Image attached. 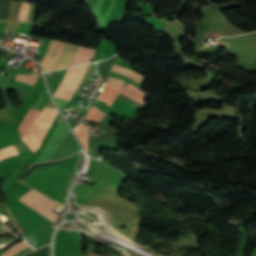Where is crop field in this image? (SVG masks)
Masks as SVG:
<instances>
[{
	"label": "crop field",
	"mask_w": 256,
	"mask_h": 256,
	"mask_svg": "<svg viewBox=\"0 0 256 256\" xmlns=\"http://www.w3.org/2000/svg\"><path fill=\"white\" fill-rule=\"evenodd\" d=\"M56 114V109L44 107L42 112L39 114V116L33 123L30 130L22 138V140L27 144L32 153L35 152L38 148L42 138L44 137L50 125L52 124Z\"/></svg>",
	"instance_id": "crop-field-1"
},
{
	"label": "crop field",
	"mask_w": 256,
	"mask_h": 256,
	"mask_svg": "<svg viewBox=\"0 0 256 256\" xmlns=\"http://www.w3.org/2000/svg\"><path fill=\"white\" fill-rule=\"evenodd\" d=\"M18 200L25 203L54 223L56 214L51 210L56 207L59 202L51 201L32 189Z\"/></svg>",
	"instance_id": "crop-field-2"
},
{
	"label": "crop field",
	"mask_w": 256,
	"mask_h": 256,
	"mask_svg": "<svg viewBox=\"0 0 256 256\" xmlns=\"http://www.w3.org/2000/svg\"><path fill=\"white\" fill-rule=\"evenodd\" d=\"M87 66L88 64L68 69L63 81L55 92L54 97L69 101L75 92Z\"/></svg>",
	"instance_id": "crop-field-3"
},
{
	"label": "crop field",
	"mask_w": 256,
	"mask_h": 256,
	"mask_svg": "<svg viewBox=\"0 0 256 256\" xmlns=\"http://www.w3.org/2000/svg\"><path fill=\"white\" fill-rule=\"evenodd\" d=\"M66 43L52 40L40 64L44 71L54 70Z\"/></svg>",
	"instance_id": "crop-field-4"
},
{
	"label": "crop field",
	"mask_w": 256,
	"mask_h": 256,
	"mask_svg": "<svg viewBox=\"0 0 256 256\" xmlns=\"http://www.w3.org/2000/svg\"><path fill=\"white\" fill-rule=\"evenodd\" d=\"M107 82H109L117 87H121V88L125 84V81H122V80H119V79H116V78H113L110 76L108 77ZM109 83H106L105 88L99 97V100L108 102V104H107L108 106H110L112 101L117 96L118 92H120V90H121V88L114 87V86L110 85Z\"/></svg>",
	"instance_id": "crop-field-5"
},
{
	"label": "crop field",
	"mask_w": 256,
	"mask_h": 256,
	"mask_svg": "<svg viewBox=\"0 0 256 256\" xmlns=\"http://www.w3.org/2000/svg\"><path fill=\"white\" fill-rule=\"evenodd\" d=\"M94 53H95V50L93 49L79 46L77 52L75 53L72 59L70 67L91 62Z\"/></svg>",
	"instance_id": "crop-field-6"
},
{
	"label": "crop field",
	"mask_w": 256,
	"mask_h": 256,
	"mask_svg": "<svg viewBox=\"0 0 256 256\" xmlns=\"http://www.w3.org/2000/svg\"><path fill=\"white\" fill-rule=\"evenodd\" d=\"M77 48L78 46L67 43L55 70L68 67Z\"/></svg>",
	"instance_id": "crop-field-7"
},
{
	"label": "crop field",
	"mask_w": 256,
	"mask_h": 256,
	"mask_svg": "<svg viewBox=\"0 0 256 256\" xmlns=\"http://www.w3.org/2000/svg\"><path fill=\"white\" fill-rule=\"evenodd\" d=\"M122 94L144 104V100L148 99V95L131 84L126 85L121 92Z\"/></svg>",
	"instance_id": "crop-field-8"
},
{
	"label": "crop field",
	"mask_w": 256,
	"mask_h": 256,
	"mask_svg": "<svg viewBox=\"0 0 256 256\" xmlns=\"http://www.w3.org/2000/svg\"><path fill=\"white\" fill-rule=\"evenodd\" d=\"M113 72H116L120 75H123L131 80H134L140 84H144L145 80H146V77L140 75V74H137L136 72L134 71H131V70H128L126 68H123V67H120L118 65H115L113 66L112 70Z\"/></svg>",
	"instance_id": "crop-field-9"
},
{
	"label": "crop field",
	"mask_w": 256,
	"mask_h": 256,
	"mask_svg": "<svg viewBox=\"0 0 256 256\" xmlns=\"http://www.w3.org/2000/svg\"><path fill=\"white\" fill-rule=\"evenodd\" d=\"M39 110L30 109L26 114L25 118L23 119L22 123L20 124L18 130L20 132V136L22 137L31 127L32 123L36 119L37 115L39 114Z\"/></svg>",
	"instance_id": "crop-field-10"
},
{
	"label": "crop field",
	"mask_w": 256,
	"mask_h": 256,
	"mask_svg": "<svg viewBox=\"0 0 256 256\" xmlns=\"http://www.w3.org/2000/svg\"><path fill=\"white\" fill-rule=\"evenodd\" d=\"M104 115H106V114L102 113L101 111L96 109L94 106H92L91 109L89 110L88 115L85 118V120L97 123V122H99L101 120V118Z\"/></svg>",
	"instance_id": "crop-field-11"
},
{
	"label": "crop field",
	"mask_w": 256,
	"mask_h": 256,
	"mask_svg": "<svg viewBox=\"0 0 256 256\" xmlns=\"http://www.w3.org/2000/svg\"><path fill=\"white\" fill-rule=\"evenodd\" d=\"M74 131L86 149V147H87V128H85L83 125L80 124Z\"/></svg>",
	"instance_id": "crop-field-12"
},
{
	"label": "crop field",
	"mask_w": 256,
	"mask_h": 256,
	"mask_svg": "<svg viewBox=\"0 0 256 256\" xmlns=\"http://www.w3.org/2000/svg\"><path fill=\"white\" fill-rule=\"evenodd\" d=\"M29 247L25 242H20L14 246H12L7 252H5L3 255L1 256H13L14 254H16L17 252L25 249Z\"/></svg>",
	"instance_id": "crop-field-13"
},
{
	"label": "crop field",
	"mask_w": 256,
	"mask_h": 256,
	"mask_svg": "<svg viewBox=\"0 0 256 256\" xmlns=\"http://www.w3.org/2000/svg\"><path fill=\"white\" fill-rule=\"evenodd\" d=\"M28 7H29V6L22 4L21 10H20V14H19V18H18V19L25 20V16H26ZM32 8H33V7H31V6L29 7V11H28V14H27V16H26V20H30V14H31Z\"/></svg>",
	"instance_id": "crop-field-14"
},
{
	"label": "crop field",
	"mask_w": 256,
	"mask_h": 256,
	"mask_svg": "<svg viewBox=\"0 0 256 256\" xmlns=\"http://www.w3.org/2000/svg\"><path fill=\"white\" fill-rule=\"evenodd\" d=\"M93 66H94V64H90V65H89V67H88V69H87V71H86V73H85V75H84V77H83L82 82L80 83V85L78 86V88H77V90H76V93L78 92V90H79L81 84H82V83H86V81H87V79H88V77H89V75H90V73H91V71H92ZM84 86H85V84L82 85V87L80 88V90H79V92H78L77 94H81V92H82Z\"/></svg>",
	"instance_id": "crop-field-15"
},
{
	"label": "crop field",
	"mask_w": 256,
	"mask_h": 256,
	"mask_svg": "<svg viewBox=\"0 0 256 256\" xmlns=\"http://www.w3.org/2000/svg\"><path fill=\"white\" fill-rule=\"evenodd\" d=\"M48 251H49V246H45L44 248L28 256H48Z\"/></svg>",
	"instance_id": "crop-field-16"
},
{
	"label": "crop field",
	"mask_w": 256,
	"mask_h": 256,
	"mask_svg": "<svg viewBox=\"0 0 256 256\" xmlns=\"http://www.w3.org/2000/svg\"><path fill=\"white\" fill-rule=\"evenodd\" d=\"M118 97H120L121 99L126 100V101H128V102H130V103H132L133 105H135L136 107H138V108H140V109L146 108V106H144V105H142V104H139V103H137V102H135V101H133V100H131V99H129V98H127V97L121 95V94H118Z\"/></svg>",
	"instance_id": "crop-field-17"
},
{
	"label": "crop field",
	"mask_w": 256,
	"mask_h": 256,
	"mask_svg": "<svg viewBox=\"0 0 256 256\" xmlns=\"http://www.w3.org/2000/svg\"><path fill=\"white\" fill-rule=\"evenodd\" d=\"M252 34L256 35V33H252Z\"/></svg>",
	"instance_id": "crop-field-18"
}]
</instances>
